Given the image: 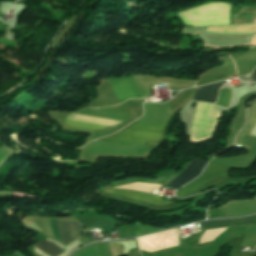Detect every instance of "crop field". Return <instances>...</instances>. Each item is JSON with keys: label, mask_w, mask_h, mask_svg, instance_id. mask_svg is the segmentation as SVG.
<instances>
[{"label": "crop field", "mask_w": 256, "mask_h": 256, "mask_svg": "<svg viewBox=\"0 0 256 256\" xmlns=\"http://www.w3.org/2000/svg\"><path fill=\"white\" fill-rule=\"evenodd\" d=\"M167 126L149 123L134 122L124 130L100 141L147 146L148 142L160 141Z\"/></svg>", "instance_id": "obj_1"}, {"label": "crop field", "mask_w": 256, "mask_h": 256, "mask_svg": "<svg viewBox=\"0 0 256 256\" xmlns=\"http://www.w3.org/2000/svg\"><path fill=\"white\" fill-rule=\"evenodd\" d=\"M228 170H229V167H225V166L210 162L208 164L206 170L202 173V175L197 180L193 181L189 185L182 188L180 191H178L176 193V195L183 197L188 192L195 189L196 187H198L204 183H207L223 174H226L228 172Z\"/></svg>", "instance_id": "obj_2"}, {"label": "crop field", "mask_w": 256, "mask_h": 256, "mask_svg": "<svg viewBox=\"0 0 256 256\" xmlns=\"http://www.w3.org/2000/svg\"><path fill=\"white\" fill-rule=\"evenodd\" d=\"M120 102L128 98H141L133 76L109 80Z\"/></svg>", "instance_id": "obj_3"}, {"label": "crop field", "mask_w": 256, "mask_h": 256, "mask_svg": "<svg viewBox=\"0 0 256 256\" xmlns=\"http://www.w3.org/2000/svg\"><path fill=\"white\" fill-rule=\"evenodd\" d=\"M206 163V161L198 157L193 159V161L189 164L188 168L184 172L180 173L170 183H168L167 186L174 189L183 186L185 183L197 177L203 170Z\"/></svg>", "instance_id": "obj_4"}, {"label": "crop field", "mask_w": 256, "mask_h": 256, "mask_svg": "<svg viewBox=\"0 0 256 256\" xmlns=\"http://www.w3.org/2000/svg\"><path fill=\"white\" fill-rule=\"evenodd\" d=\"M57 240L64 243L60 223L57 220H52ZM61 222V221H60ZM64 238L66 244L73 239L82 236L83 228L77 222H61ZM65 244V243H64Z\"/></svg>", "instance_id": "obj_5"}, {"label": "crop field", "mask_w": 256, "mask_h": 256, "mask_svg": "<svg viewBox=\"0 0 256 256\" xmlns=\"http://www.w3.org/2000/svg\"><path fill=\"white\" fill-rule=\"evenodd\" d=\"M256 223V215L231 220H214L200 223L201 229Z\"/></svg>", "instance_id": "obj_6"}, {"label": "crop field", "mask_w": 256, "mask_h": 256, "mask_svg": "<svg viewBox=\"0 0 256 256\" xmlns=\"http://www.w3.org/2000/svg\"><path fill=\"white\" fill-rule=\"evenodd\" d=\"M109 193L137 199V200H142L150 203H156L160 205H164L170 202L161 200L160 197L154 196V195H148V194H143V193H138V192H133V191H125V190H114V189H103ZM104 191V192H105Z\"/></svg>", "instance_id": "obj_7"}, {"label": "crop field", "mask_w": 256, "mask_h": 256, "mask_svg": "<svg viewBox=\"0 0 256 256\" xmlns=\"http://www.w3.org/2000/svg\"><path fill=\"white\" fill-rule=\"evenodd\" d=\"M224 82L225 81L197 89L194 100L215 102L218 94V89L222 86Z\"/></svg>", "instance_id": "obj_8"}, {"label": "crop field", "mask_w": 256, "mask_h": 256, "mask_svg": "<svg viewBox=\"0 0 256 256\" xmlns=\"http://www.w3.org/2000/svg\"><path fill=\"white\" fill-rule=\"evenodd\" d=\"M78 220L85 227H93V226L115 227L116 226V223H113V222L108 221V220H102V219L85 218V219H78Z\"/></svg>", "instance_id": "obj_9"}, {"label": "crop field", "mask_w": 256, "mask_h": 256, "mask_svg": "<svg viewBox=\"0 0 256 256\" xmlns=\"http://www.w3.org/2000/svg\"><path fill=\"white\" fill-rule=\"evenodd\" d=\"M35 245H37L39 248L44 250L50 256H55V255L59 254L60 252L64 251L61 248L57 247L56 245H54L50 242L43 241V240L39 241Z\"/></svg>", "instance_id": "obj_10"}, {"label": "crop field", "mask_w": 256, "mask_h": 256, "mask_svg": "<svg viewBox=\"0 0 256 256\" xmlns=\"http://www.w3.org/2000/svg\"><path fill=\"white\" fill-rule=\"evenodd\" d=\"M65 126H72V127H78V128H85V129H106L109 128L107 126H98V125H90L86 123H79V122H71L64 120L62 122Z\"/></svg>", "instance_id": "obj_11"}, {"label": "crop field", "mask_w": 256, "mask_h": 256, "mask_svg": "<svg viewBox=\"0 0 256 256\" xmlns=\"http://www.w3.org/2000/svg\"><path fill=\"white\" fill-rule=\"evenodd\" d=\"M231 96V89H224L220 91L219 101L215 104L228 106Z\"/></svg>", "instance_id": "obj_12"}, {"label": "crop field", "mask_w": 256, "mask_h": 256, "mask_svg": "<svg viewBox=\"0 0 256 256\" xmlns=\"http://www.w3.org/2000/svg\"><path fill=\"white\" fill-rule=\"evenodd\" d=\"M250 81H256V70L253 71V73L250 77Z\"/></svg>", "instance_id": "obj_13"}, {"label": "crop field", "mask_w": 256, "mask_h": 256, "mask_svg": "<svg viewBox=\"0 0 256 256\" xmlns=\"http://www.w3.org/2000/svg\"><path fill=\"white\" fill-rule=\"evenodd\" d=\"M10 256H17V255L14 253V254H12V255H10Z\"/></svg>", "instance_id": "obj_14"}]
</instances>
